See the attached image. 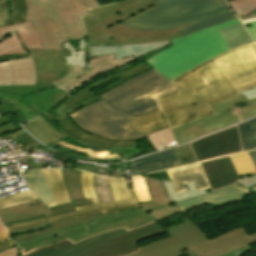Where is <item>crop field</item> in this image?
Masks as SVG:
<instances>
[{
    "label": "crop field",
    "instance_id": "e1f06a70",
    "mask_svg": "<svg viewBox=\"0 0 256 256\" xmlns=\"http://www.w3.org/2000/svg\"><path fill=\"white\" fill-rule=\"evenodd\" d=\"M240 176L256 175V170L247 152L231 155Z\"/></svg>",
    "mask_w": 256,
    "mask_h": 256
},
{
    "label": "crop field",
    "instance_id": "447ae74e",
    "mask_svg": "<svg viewBox=\"0 0 256 256\" xmlns=\"http://www.w3.org/2000/svg\"><path fill=\"white\" fill-rule=\"evenodd\" d=\"M83 1L86 3L89 9L99 6L96 0H83Z\"/></svg>",
    "mask_w": 256,
    "mask_h": 256
},
{
    "label": "crop field",
    "instance_id": "d32e631a",
    "mask_svg": "<svg viewBox=\"0 0 256 256\" xmlns=\"http://www.w3.org/2000/svg\"><path fill=\"white\" fill-rule=\"evenodd\" d=\"M219 32L231 49L253 42L241 23L219 29Z\"/></svg>",
    "mask_w": 256,
    "mask_h": 256
},
{
    "label": "crop field",
    "instance_id": "733c2abd",
    "mask_svg": "<svg viewBox=\"0 0 256 256\" xmlns=\"http://www.w3.org/2000/svg\"><path fill=\"white\" fill-rule=\"evenodd\" d=\"M32 53L37 74L67 71L61 80L53 82L55 87L59 89L63 90L83 73L79 67L64 65V56L70 55L69 49H63V51H32Z\"/></svg>",
    "mask_w": 256,
    "mask_h": 256
},
{
    "label": "crop field",
    "instance_id": "03da06ac",
    "mask_svg": "<svg viewBox=\"0 0 256 256\" xmlns=\"http://www.w3.org/2000/svg\"><path fill=\"white\" fill-rule=\"evenodd\" d=\"M132 182L138 202L150 201V195L144 178L132 177Z\"/></svg>",
    "mask_w": 256,
    "mask_h": 256
},
{
    "label": "crop field",
    "instance_id": "b54c1fbb",
    "mask_svg": "<svg viewBox=\"0 0 256 256\" xmlns=\"http://www.w3.org/2000/svg\"><path fill=\"white\" fill-rule=\"evenodd\" d=\"M175 151L182 165L197 162L189 144L175 148Z\"/></svg>",
    "mask_w": 256,
    "mask_h": 256
},
{
    "label": "crop field",
    "instance_id": "73cf0c24",
    "mask_svg": "<svg viewBox=\"0 0 256 256\" xmlns=\"http://www.w3.org/2000/svg\"><path fill=\"white\" fill-rule=\"evenodd\" d=\"M47 227H51V226L47 223V224L35 226V227H32V228L16 230V231H13L11 233H12V235H15V234L26 233V232H30V231H34V230H38V229H42V228H47Z\"/></svg>",
    "mask_w": 256,
    "mask_h": 256
},
{
    "label": "crop field",
    "instance_id": "120bbe31",
    "mask_svg": "<svg viewBox=\"0 0 256 256\" xmlns=\"http://www.w3.org/2000/svg\"><path fill=\"white\" fill-rule=\"evenodd\" d=\"M42 171L58 205L70 203L71 201L68 197L67 190L63 183L61 170Z\"/></svg>",
    "mask_w": 256,
    "mask_h": 256
},
{
    "label": "crop field",
    "instance_id": "28ad6ade",
    "mask_svg": "<svg viewBox=\"0 0 256 256\" xmlns=\"http://www.w3.org/2000/svg\"><path fill=\"white\" fill-rule=\"evenodd\" d=\"M110 188L114 202L98 203L93 186V175L81 172V184L84 192L85 199H91L94 204L76 208L77 211L65 213L45 219L33 220L21 224L6 226L8 231H13L20 228L31 227L43 223H55L57 221L67 219L73 216L98 211L108 213L118 210L131 209L139 207L137 199H130L125 179H109Z\"/></svg>",
    "mask_w": 256,
    "mask_h": 256
},
{
    "label": "crop field",
    "instance_id": "dbb93151",
    "mask_svg": "<svg viewBox=\"0 0 256 256\" xmlns=\"http://www.w3.org/2000/svg\"><path fill=\"white\" fill-rule=\"evenodd\" d=\"M251 25L252 26L247 28V29L250 32L251 36L254 38L255 42H256V22H252Z\"/></svg>",
    "mask_w": 256,
    "mask_h": 256
},
{
    "label": "crop field",
    "instance_id": "9d1cf04e",
    "mask_svg": "<svg viewBox=\"0 0 256 256\" xmlns=\"http://www.w3.org/2000/svg\"><path fill=\"white\" fill-rule=\"evenodd\" d=\"M31 54H25V55H14V56H7V57H1L0 61L14 59V58H20V57H29Z\"/></svg>",
    "mask_w": 256,
    "mask_h": 256
},
{
    "label": "crop field",
    "instance_id": "0f1d7ab4",
    "mask_svg": "<svg viewBox=\"0 0 256 256\" xmlns=\"http://www.w3.org/2000/svg\"><path fill=\"white\" fill-rule=\"evenodd\" d=\"M0 230H4V227L2 226L1 223H0Z\"/></svg>",
    "mask_w": 256,
    "mask_h": 256
},
{
    "label": "crop field",
    "instance_id": "ae633e8c",
    "mask_svg": "<svg viewBox=\"0 0 256 256\" xmlns=\"http://www.w3.org/2000/svg\"><path fill=\"white\" fill-rule=\"evenodd\" d=\"M0 101H1V98H0Z\"/></svg>",
    "mask_w": 256,
    "mask_h": 256
},
{
    "label": "crop field",
    "instance_id": "1d79db26",
    "mask_svg": "<svg viewBox=\"0 0 256 256\" xmlns=\"http://www.w3.org/2000/svg\"><path fill=\"white\" fill-rule=\"evenodd\" d=\"M250 194V193H247ZM243 195H238V196H232V197H227V198H222V199H218L216 201L211 202L210 204H215V203H219V202H223V201H227V200H231V199H235V198H239V197H243Z\"/></svg>",
    "mask_w": 256,
    "mask_h": 256
},
{
    "label": "crop field",
    "instance_id": "22f410ed",
    "mask_svg": "<svg viewBox=\"0 0 256 256\" xmlns=\"http://www.w3.org/2000/svg\"><path fill=\"white\" fill-rule=\"evenodd\" d=\"M152 1L125 0L91 10L92 14L83 17V23L87 33V43L89 44L96 36L103 34V29L119 21L127 23L156 8V4Z\"/></svg>",
    "mask_w": 256,
    "mask_h": 256
},
{
    "label": "crop field",
    "instance_id": "00972430",
    "mask_svg": "<svg viewBox=\"0 0 256 256\" xmlns=\"http://www.w3.org/2000/svg\"><path fill=\"white\" fill-rule=\"evenodd\" d=\"M129 164L133 175L147 174L181 165L173 149L131 161Z\"/></svg>",
    "mask_w": 256,
    "mask_h": 256
},
{
    "label": "crop field",
    "instance_id": "c035e120",
    "mask_svg": "<svg viewBox=\"0 0 256 256\" xmlns=\"http://www.w3.org/2000/svg\"><path fill=\"white\" fill-rule=\"evenodd\" d=\"M154 209L145 211V214L153 216L157 222L182 212L177 205L170 207V204Z\"/></svg>",
    "mask_w": 256,
    "mask_h": 256
},
{
    "label": "crop field",
    "instance_id": "e52e79f7",
    "mask_svg": "<svg viewBox=\"0 0 256 256\" xmlns=\"http://www.w3.org/2000/svg\"><path fill=\"white\" fill-rule=\"evenodd\" d=\"M240 23L239 19L171 40L173 46L144 62L172 80L187 70L230 50L217 29Z\"/></svg>",
    "mask_w": 256,
    "mask_h": 256
},
{
    "label": "crop field",
    "instance_id": "b80d0937",
    "mask_svg": "<svg viewBox=\"0 0 256 256\" xmlns=\"http://www.w3.org/2000/svg\"><path fill=\"white\" fill-rule=\"evenodd\" d=\"M227 3L240 18L256 11V0H233Z\"/></svg>",
    "mask_w": 256,
    "mask_h": 256
},
{
    "label": "crop field",
    "instance_id": "ac0d7876",
    "mask_svg": "<svg viewBox=\"0 0 256 256\" xmlns=\"http://www.w3.org/2000/svg\"><path fill=\"white\" fill-rule=\"evenodd\" d=\"M153 68L100 95L102 99L68 116L81 129L109 140H136L151 133H131L134 115L161 109L157 97L176 89Z\"/></svg>",
    "mask_w": 256,
    "mask_h": 256
},
{
    "label": "crop field",
    "instance_id": "dafd665d",
    "mask_svg": "<svg viewBox=\"0 0 256 256\" xmlns=\"http://www.w3.org/2000/svg\"><path fill=\"white\" fill-rule=\"evenodd\" d=\"M59 131L63 132L66 136L71 137L63 129H61ZM71 138L80 142V143H82L85 146L97 148V149H99V151L82 149V148L70 145L68 143H64L60 140L57 141V142L51 143L48 146H50V147H52V148H54V149H56L60 152H63V153H66V154H69V155H72V156H75V157H79V158H81L83 160H87V161L115 162V161H121L122 160L120 154L119 155H109V148H105V147H102V146H97V145H93V144H90V143H87V142H83V141H80V140L75 139L73 137H71Z\"/></svg>",
    "mask_w": 256,
    "mask_h": 256
},
{
    "label": "crop field",
    "instance_id": "5d738f31",
    "mask_svg": "<svg viewBox=\"0 0 256 256\" xmlns=\"http://www.w3.org/2000/svg\"><path fill=\"white\" fill-rule=\"evenodd\" d=\"M3 105H0V112H11V113H17L19 116V121L23 124L27 123L25 119L22 117V115L8 102H2Z\"/></svg>",
    "mask_w": 256,
    "mask_h": 256
},
{
    "label": "crop field",
    "instance_id": "1d83c4d3",
    "mask_svg": "<svg viewBox=\"0 0 256 256\" xmlns=\"http://www.w3.org/2000/svg\"><path fill=\"white\" fill-rule=\"evenodd\" d=\"M42 143L49 144L66 137L63 133L52 127L47 121L39 117L24 125Z\"/></svg>",
    "mask_w": 256,
    "mask_h": 256
},
{
    "label": "crop field",
    "instance_id": "1f2cbd36",
    "mask_svg": "<svg viewBox=\"0 0 256 256\" xmlns=\"http://www.w3.org/2000/svg\"><path fill=\"white\" fill-rule=\"evenodd\" d=\"M14 245H16V244L12 240L0 242V250L7 249Z\"/></svg>",
    "mask_w": 256,
    "mask_h": 256
},
{
    "label": "crop field",
    "instance_id": "028f5c9d",
    "mask_svg": "<svg viewBox=\"0 0 256 256\" xmlns=\"http://www.w3.org/2000/svg\"><path fill=\"white\" fill-rule=\"evenodd\" d=\"M242 150L256 149V118L238 124Z\"/></svg>",
    "mask_w": 256,
    "mask_h": 256
},
{
    "label": "crop field",
    "instance_id": "d3111659",
    "mask_svg": "<svg viewBox=\"0 0 256 256\" xmlns=\"http://www.w3.org/2000/svg\"><path fill=\"white\" fill-rule=\"evenodd\" d=\"M247 192H249L248 189L238 184H235L226 188H222L213 192L206 193L204 195L196 196L194 198H191L185 201L177 202L176 204L180 207L182 211H185V210L203 205L207 202L216 200L218 198L237 195V194H243Z\"/></svg>",
    "mask_w": 256,
    "mask_h": 256
},
{
    "label": "crop field",
    "instance_id": "7b73153f",
    "mask_svg": "<svg viewBox=\"0 0 256 256\" xmlns=\"http://www.w3.org/2000/svg\"><path fill=\"white\" fill-rule=\"evenodd\" d=\"M253 17H256V12L247 16V17H245V18H243V19H241V20L248 19V18H253Z\"/></svg>",
    "mask_w": 256,
    "mask_h": 256
},
{
    "label": "crop field",
    "instance_id": "e1d0b9f6",
    "mask_svg": "<svg viewBox=\"0 0 256 256\" xmlns=\"http://www.w3.org/2000/svg\"><path fill=\"white\" fill-rule=\"evenodd\" d=\"M251 189H253V190H255V191H256V186H255V187H253V188H251Z\"/></svg>",
    "mask_w": 256,
    "mask_h": 256
},
{
    "label": "crop field",
    "instance_id": "5142ce71",
    "mask_svg": "<svg viewBox=\"0 0 256 256\" xmlns=\"http://www.w3.org/2000/svg\"><path fill=\"white\" fill-rule=\"evenodd\" d=\"M197 161L240 153L237 125L190 143Z\"/></svg>",
    "mask_w": 256,
    "mask_h": 256
},
{
    "label": "crop field",
    "instance_id": "5866460e",
    "mask_svg": "<svg viewBox=\"0 0 256 256\" xmlns=\"http://www.w3.org/2000/svg\"><path fill=\"white\" fill-rule=\"evenodd\" d=\"M85 42L84 39L63 43V48H70L71 52V56L65 57V64L82 67L83 71H85L87 53V45Z\"/></svg>",
    "mask_w": 256,
    "mask_h": 256
},
{
    "label": "crop field",
    "instance_id": "34b2d1b8",
    "mask_svg": "<svg viewBox=\"0 0 256 256\" xmlns=\"http://www.w3.org/2000/svg\"><path fill=\"white\" fill-rule=\"evenodd\" d=\"M153 2L159 8L128 24L120 23L141 30L179 28L183 36L236 19L224 0H154Z\"/></svg>",
    "mask_w": 256,
    "mask_h": 256
},
{
    "label": "crop field",
    "instance_id": "25e5ab78",
    "mask_svg": "<svg viewBox=\"0 0 256 256\" xmlns=\"http://www.w3.org/2000/svg\"><path fill=\"white\" fill-rule=\"evenodd\" d=\"M0 256H20V248L15 246L7 250L0 251Z\"/></svg>",
    "mask_w": 256,
    "mask_h": 256
},
{
    "label": "crop field",
    "instance_id": "8a807250",
    "mask_svg": "<svg viewBox=\"0 0 256 256\" xmlns=\"http://www.w3.org/2000/svg\"><path fill=\"white\" fill-rule=\"evenodd\" d=\"M256 78L254 44L231 50L175 79L180 88L159 98L171 128L215 114L208 106L239 94Z\"/></svg>",
    "mask_w": 256,
    "mask_h": 256
},
{
    "label": "crop field",
    "instance_id": "4177f3b9",
    "mask_svg": "<svg viewBox=\"0 0 256 256\" xmlns=\"http://www.w3.org/2000/svg\"><path fill=\"white\" fill-rule=\"evenodd\" d=\"M166 172L176 193L187 190L185 183H195L197 190L209 188L199 163L167 170Z\"/></svg>",
    "mask_w": 256,
    "mask_h": 256
},
{
    "label": "crop field",
    "instance_id": "eef30255",
    "mask_svg": "<svg viewBox=\"0 0 256 256\" xmlns=\"http://www.w3.org/2000/svg\"><path fill=\"white\" fill-rule=\"evenodd\" d=\"M68 95L65 91L54 88L24 97L22 103L41 115L65 100Z\"/></svg>",
    "mask_w": 256,
    "mask_h": 256
},
{
    "label": "crop field",
    "instance_id": "5a996713",
    "mask_svg": "<svg viewBox=\"0 0 256 256\" xmlns=\"http://www.w3.org/2000/svg\"><path fill=\"white\" fill-rule=\"evenodd\" d=\"M162 232L165 230L153 222L130 231L122 228L105 232L75 244L65 239L23 256H124L139 251L135 242Z\"/></svg>",
    "mask_w": 256,
    "mask_h": 256
},
{
    "label": "crop field",
    "instance_id": "d8731c3e",
    "mask_svg": "<svg viewBox=\"0 0 256 256\" xmlns=\"http://www.w3.org/2000/svg\"><path fill=\"white\" fill-rule=\"evenodd\" d=\"M152 67L144 62L135 65L121 73L112 74L102 80H98L81 91L71 95L63 104L54 110L56 116L45 114L50 123L56 121L70 135L93 144L110 147V154L121 153L123 160L135 158L142 155L135 141H109L91 135L79 129L67 116L69 113L100 99L97 95L150 69Z\"/></svg>",
    "mask_w": 256,
    "mask_h": 256
},
{
    "label": "crop field",
    "instance_id": "ae1a2a85",
    "mask_svg": "<svg viewBox=\"0 0 256 256\" xmlns=\"http://www.w3.org/2000/svg\"><path fill=\"white\" fill-rule=\"evenodd\" d=\"M27 184L28 189L46 205L48 208L56 206L57 203L42 175L41 170H32L22 173Z\"/></svg>",
    "mask_w": 256,
    "mask_h": 256
},
{
    "label": "crop field",
    "instance_id": "0bd39190",
    "mask_svg": "<svg viewBox=\"0 0 256 256\" xmlns=\"http://www.w3.org/2000/svg\"><path fill=\"white\" fill-rule=\"evenodd\" d=\"M147 138L154 146L156 151L165 148L166 145L175 141L170 128L153 133L147 136Z\"/></svg>",
    "mask_w": 256,
    "mask_h": 256
},
{
    "label": "crop field",
    "instance_id": "bd1437ed",
    "mask_svg": "<svg viewBox=\"0 0 256 256\" xmlns=\"http://www.w3.org/2000/svg\"><path fill=\"white\" fill-rule=\"evenodd\" d=\"M168 123L163 111H155L133 118L132 132H155L164 128H168Z\"/></svg>",
    "mask_w": 256,
    "mask_h": 256
},
{
    "label": "crop field",
    "instance_id": "0fb4a251",
    "mask_svg": "<svg viewBox=\"0 0 256 256\" xmlns=\"http://www.w3.org/2000/svg\"><path fill=\"white\" fill-rule=\"evenodd\" d=\"M94 167L95 166L77 165L75 169H80V170H84V171H88V172H92L93 173Z\"/></svg>",
    "mask_w": 256,
    "mask_h": 256
},
{
    "label": "crop field",
    "instance_id": "425ffa30",
    "mask_svg": "<svg viewBox=\"0 0 256 256\" xmlns=\"http://www.w3.org/2000/svg\"><path fill=\"white\" fill-rule=\"evenodd\" d=\"M237 183L249 189L256 185V176L241 177Z\"/></svg>",
    "mask_w": 256,
    "mask_h": 256
},
{
    "label": "crop field",
    "instance_id": "f4fd0767",
    "mask_svg": "<svg viewBox=\"0 0 256 256\" xmlns=\"http://www.w3.org/2000/svg\"><path fill=\"white\" fill-rule=\"evenodd\" d=\"M155 221L141 208L101 214L94 212L51 224V228L11 236L20 247L37 248L64 238L77 242L105 231L126 227L128 230Z\"/></svg>",
    "mask_w": 256,
    "mask_h": 256
},
{
    "label": "crop field",
    "instance_id": "c21b1889",
    "mask_svg": "<svg viewBox=\"0 0 256 256\" xmlns=\"http://www.w3.org/2000/svg\"><path fill=\"white\" fill-rule=\"evenodd\" d=\"M37 198L29 191H23L20 193H17L15 195L9 196L7 198L0 200V208L2 207H8L11 205H16L20 203H24L30 200H36Z\"/></svg>",
    "mask_w": 256,
    "mask_h": 256
},
{
    "label": "crop field",
    "instance_id": "78b8030e",
    "mask_svg": "<svg viewBox=\"0 0 256 256\" xmlns=\"http://www.w3.org/2000/svg\"><path fill=\"white\" fill-rule=\"evenodd\" d=\"M252 21H256V18L244 20V21H242V22H243V23H246V22H252Z\"/></svg>",
    "mask_w": 256,
    "mask_h": 256
},
{
    "label": "crop field",
    "instance_id": "4a817a6b",
    "mask_svg": "<svg viewBox=\"0 0 256 256\" xmlns=\"http://www.w3.org/2000/svg\"><path fill=\"white\" fill-rule=\"evenodd\" d=\"M62 73H50L37 75L36 86H3L0 87V94L2 100H10L15 103L14 105L22 112L28 121L40 116L36 112L27 108L21 103V98L35 92L54 88L51 81L60 79L64 76ZM22 89V90H21Z\"/></svg>",
    "mask_w": 256,
    "mask_h": 256
},
{
    "label": "crop field",
    "instance_id": "412701ff",
    "mask_svg": "<svg viewBox=\"0 0 256 256\" xmlns=\"http://www.w3.org/2000/svg\"><path fill=\"white\" fill-rule=\"evenodd\" d=\"M166 231L171 237L142 246L141 251L126 256H213L256 242V232L249 235L243 226L210 239L190 219Z\"/></svg>",
    "mask_w": 256,
    "mask_h": 256
},
{
    "label": "crop field",
    "instance_id": "730fd06b",
    "mask_svg": "<svg viewBox=\"0 0 256 256\" xmlns=\"http://www.w3.org/2000/svg\"><path fill=\"white\" fill-rule=\"evenodd\" d=\"M134 60L136 59L131 57L115 61L113 55L90 59L88 71L79 77L70 87L66 88V90L70 92L100 73L122 66Z\"/></svg>",
    "mask_w": 256,
    "mask_h": 256
},
{
    "label": "crop field",
    "instance_id": "d1516ede",
    "mask_svg": "<svg viewBox=\"0 0 256 256\" xmlns=\"http://www.w3.org/2000/svg\"><path fill=\"white\" fill-rule=\"evenodd\" d=\"M64 183L72 203L48 209L41 201H30L25 204L0 209V220L4 225L16 224L32 219L45 218L76 210L75 207L91 204L85 201L80 185V171L62 170Z\"/></svg>",
    "mask_w": 256,
    "mask_h": 256
},
{
    "label": "crop field",
    "instance_id": "a9b5d70f",
    "mask_svg": "<svg viewBox=\"0 0 256 256\" xmlns=\"http://www.w3.org/2000/svg\"><path fill=\"white\" fill-rule=\"evenodd\" d=\"M170 41L159 42V43H150V44H140V45H124V46H91L89 48V59L103 56L107 54H114L115 59L135 57L140 58L160 47L170 44Z\"/></svg>",
    "mask_w": 256,
    "mask_h": 256
},
{
    "label": "crop field",
    "instance_id": "214f88e0",
    "mask_svg": "<svg viewBox=\"0 0 256 256\" xmlns=\"http://www.w3.org/2000/svg\"><path fill=\"white\" fill-rule=\"evenodd\" d=\"M211 190L235 184L240 178L229 156L201 162Z\"/></svg>",
    "mask_w": 256,
    "mask_h": 256
},
{
    "label": "crop field",
    "instance_id": "d9b57169",
    "mask_svg": "<svg viewBox=\"0 0 256 256\" xmlns=\"http://www.w3.org/2000/svg\"><path fill=\"white\" fill-rule=\"evenodd\" d=\"M42 50L38 34L29 22L0 28V57Z\"/></svg>",
    "mask_w": 256,
    "mask_h": 256
},
{
    "label": "crop field",
    "instance_id": "3316defc",
    "mask_svg": "<svg viewBox=\"0 0 256 256\" xmlns=\"http://www.w3.org/2000/svg\"><path fill=\"white\" fill-rule=\"evenodd\" d=\"M210 108L217 114L172 129L178 144L256 115V100L246 101L239 94Z\"/></svg>",
    "mask_w": 256,
    "mask_h": 256
},
{
    "label": "crop field",
    "instance_id": "db79e9e6",
    "mask_svg": "<svg viewBox=\"0 0 256 256\" xmlns=\"http://www.w3.org/2000/svg\"><path fill=\"white\" fill-rule=\"evenodd\" d=\"M9 236L6 232V230L0 232V241L8 239Z\"/></svg>",
    "mask_w": 256,
    "mask_h": 256
},
{
    "label": "crop field",
    "instance_id": "0765c3eb",
    "mask_svg": "<svg viewBox=\"0 0 256 256\" xmlns=\"http://www.w3.org/2000/svg\"><path fill=\"white\" fill-rule=\"evenodd\" d=\"M248 154H249V156H250V158H251V160H252V162H253V164L256 168V150L255 151H250V152H248Z\"/></svg>",
    "mask_w": 256,
    "mask_h": 256
},
{
    "label": "crop field",
    "instance_id": "dd49c442",
    "mask_svg": "<svg viewBox=\"0 0 256 256\" xmlns=\"http://www.w3.org/2000/svg\"><path fill=\"white\" fill-rule=\"evenodd\" d=\"M26 3V21L38 32L43 50H62L61 42L85 38L80 17L90 11L82 0H26Z\"/></svg>",
    "mask_w": 256,
    "mask_h": 256
},
{
    "label": "crop field",
    "instance_id": "92a150f3",
    "mask_svg": "<svg viewBox=\"0 0 256 256\" xmlns=\"http://www.w3.org/2000/svg\"><path fill=\"white\" fill-rule=\"evenodd\" d=\"M35 81L36 73L32 57L0 63V86L35 85Z\"/></svg>",
    "mask_w": 256,
    "mask_h": 256
},
{
    "label": "crop field",
    "instance_id": "bc2a9ffb",
    "mask_svg": "<svg viewBox=\"0 0 256 256\" xmlns=\"http://www.w3.org/2000/svg\"><path fill=\"white\" fill-rule=\"evenodd\" d=\"M146 182L153 201L141 203L143 211L206 193V190L196 191L194 184H186L188 191L176 194L170 182L151 179H146Z\"/></svg>",
    "mask_w": 256,
    "mask_h": 256
},
{
    "label": "crop field",
    "instance_id": "cbeb9de0",
    "mask_svg": "<svg viewBox=\"0 0 256 256\" xmlns=\"http://www.w3.org/2000/svg\"><path fill=\"white\" fill-rule=\"evenodd\" d=\"M105 34L95 38L90 45H123L167 41L181 36L178 29L169 31H141L116 24L106 30Z\"/></svg>",
    "mask_w": 256,
    "mask_h": 256
},
{
    "label": "crop field",
    "instance_id": "750c4746",
    "mask_svg": "<svg viewBox=\"0 0 256 256\" xmlns=\"http://www.w3.org/2000/svg\"><path fill=\"white\" fill-rule=\"evenodd\" d=\"M25 17L24 0H0V27L24 22Z\"/></svg>",
    "mask_w": 256,
    "mask_h": 256
},
{
    "label": "crop field",
    "instance_id": "89e229c0",
    "mask_svg": "<svg viewBox=\"0 0 256 256\" xmlns=\"http://www.w3.org/2000/svg\"><path fill=\"white\" fill-rule=\"evenodd\" d=\"M256 86V79L255 80H252L242 86H239L237 87L238 91L241 92V91H244L246 89H249V88H252V87H255Z\"/></svg>",
    "mask_w": 256,
    "mask_h": 256
},
{
    "label": "crop field",
    "instance_id": "d23c7cc5",
    "mask_svg": "<svg viewBox=\"0 0 256 256\" xmlns=\"http://www.w3.org/2000/svg\"><path fill=\"white\" fill-rule=\"evenodd\" d=\"M252 249H250L249 247L240 249L238 251H234L233 249L221 254H218L216 256H244L245 254H247L248 252H250Z\"/></svg>",
    "mask_w": 256,
    "mask_h": 256
}]
</instances>
